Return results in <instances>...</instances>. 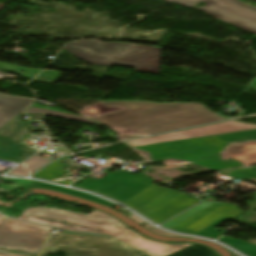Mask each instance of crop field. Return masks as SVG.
<instances>
[{"mask_svg": "<svg viewBox=\"0 0 256 256\" xmlns=\"http://www.w3.org/2000/svg\"><path fill=\"white\" fill-rule=\"evenodd\" d=\"M218 240L236 248L237 250L243 252L248 256H256V245H252L250 243H247L241 240L227 238L225 236L221 237Z\"/></svg>", "mask_w": 256, "mask_h": 256, "instance_id": "18", "label": "crop field"}, {"mask_svg": "<svg viewBox=\"0 0 256 256\" xmlns=\"http://www.w3.org/2000/svg\"><path fill=\"white\" fill-rule=\"evenodd\" d=\"M32 99L0 96V128L15 118Z\"/></svg>", "mask_w": 256, "mask_h": 256, "instance_id": "13", "label": "crop field"}, {"mask_svg": "<svg viewBox=\"0 0 256 256\" xmlns=\"http://www.w3.org/2000/svg\"><path fill=\"white\" fill-rule=\"evenodd\" d=\"M220 156L222 159H237L243 166L256 164V141L227 145Z\"/></svg>", "mask_w": 256, "mask_h": 256, "instance_id": "12", "label": "crop field"}, {"mask_svg": "<svg viewBox=\"0 0 256 256\" xmlns=\"http://www.w3.org/2000/svg\"><path fill=\"white\" fill-rule=\"evenodd\" d=\"M0 94H3V93H0Z\"/></svg>", "mask_w": 256, "mask_h": 256, "instance_id": "34", "label": "crop field"}, {"mask_svg": "<svg viewBox=\"0 0 256 256\" xmlns=\"http://www.w3.org/2000/svg\"><path fill=\"white\" fill-rule=\"evenodd\" d=\"M78 182L80 180L72 186H75ZM151 184H153V181L143 174L133 175L123 171L109 173L101 180L87 179L76 187L92 190L123 203Z\"/></svg>", "mask_w": 256, "mask_h": 256, "instance_id": "6", "label": "crop field"}, {"mask_svg": "<svg viewBox=\"0 0 256 256\" xmlns=\"http://www.w3.org/2000/svg\"><path fill=\"white\" fill-rule=\"evenodd\" d=\"M0 159L9 160V159H5V158H0ZM9 161H14V160H9ZM15 162H18V161H15Z\"/></svg>", "mask_w": 256, "mask_h": 256, "instance_id": "31", "label": "crop field"}, {"mask_svg": "<svg viewBox=\"0 0 256 256\" xmlns=\"http://www.w3.org/2000/svg\"><path fill=\"white\" fill-rule=\"evenodd\" d=\"M198 202L183 193L150 186L123 204L159 224Z\"/></svg>", "mask_w": 256, "mask_h": 256, "instance_id": "5", "label": "crop field"}, {"mask_svg": "<svg viewBox=\"0 0 256 256\" xmlns=\"http://www.w3.org/2000/svg\"><path fill=\"white\" fill-rule=\"evenodd\" d=\"M103 103L104 106H124L128 110L110 113L93 120L103 125L138 131L118 136L116 139L119 141L222 120L202 104L153 103L151 101Z\"/></svg>", "mask_w": 256, "mask_h": 256, "instance_id": "1", "label": "crop field"}, {"mask_svg": "<svg viewBox=\"0 0 256 256\" xmlns=\"http://www.w3.org/2000/svg\"><path fill=\"white\" fill-rule=\"evenodd\" d=\"M124 109H126V108H124V107H104L102 102H99L81 115H83L87 118H94V117H98V116H101V115H104V114H107L110 112L124 110Z\"/></svg>", "mask_w": 256, "mask_h": 256, "instance_id": "20", "label": "crop field"}, {"mask_svg": "<svg viewBox=\"0 0 256 256\" xmlns=\"http://www.w3.org/2000/svg\"><path fill=\"white\" fill-rule=\"evenodd\" d=\"M128 217H130L131 219L135 220L137 223L144 225L143 227H145L146 229H148V230H150V231H152V232H154L156 234H159V235H162V236H168V237H184V236L171 235V234H167V233H164L162 231H159V230H157L154 227L150 226L149 224L144 222L142 219H140L139 217H137V216H135L133 214L128 215Z\"/></svg>", "mask_w": 256, "mask_h": 256, "instance_id": "24", "label": "crop field"}, {"mask_svg": "<svg viewBox=\"0 0 256 256\" xmlns=\"http://www.w3.org/2000/svg\"><path fill=\"white\" fill-rule=\"evenodd\" d=\"M202 2L206 5L197 10L256 34V12L224 0H203Z\"/></svg>", "mask_w": 256, "mask_h": 256, "instance_id": "9", "label": "crop field"}, {"mask_svg": "<svg viewBox=\"0 0 256 256\" xmlns=\"http://www.w3.org/2000/svg\"><path fill=\"white\" fill-rule=\"evenodd\" d=\"M231 176L239 177L244 180L256 182V171H250L246 168L236 169L232 171L220 172Z\"/></svg>", "mask_w": 256, "mask_h": 256, "instance_id": "21", "label": "crop field"}, {"mask_svg": "<svg viewBox=\"0 0 256 256\" xmlns=\"http://www.w3.org/2000/svg\"><path fill=\"white\" fill-rule=\"evenodd\" d=\"M223 204L224 203L203 202L161 226L179 232Z\"/></svg>", "mask_w": 256, "mask_h": 256, "instance_id": "11", "label": "crop field"}, {"mask_svg": "<svg viewBox=\"0 0 256 256\" xmlns=\"http://www.w3.org/2000/svg\"><path fill=\"white\" fill-rule=\"evenodd\" d=\"M52 160L42 158L38 155L32 157L31 159L25 161L24 163L20 164L13 170H11L7 174H19V175H27L29 176L32 174L34 171L39 169L40 167L44 166L48 162Z\"/></svg>", "mask_w": 256, "mask_h": 256, "instance_id": "15", "label": "crop field"}, {"mask_svg": "<svg viewBox=\"0 0 256 256\" xmlns=\"http://www.w3.org/2000/svg\"><path fill=\"white\" fill-rule=\"evenodd\" d=\"M65 172H67V171L64 169L63 163L56 161V162L48 165L46 168H44L42 171H40L36 175L34 174L35 175L34 177L44 178V179H47L50 181L69 185L72 183V181L58 178Z\"/></svg>", "mask_w": 256, "mask_h": 256, "instance_id": "14", "label": "crop field"}, {"mask_svg": "<svg viewBox=\"0 0 256 256\" xmlns=\"http://www.w3.org/2000/svg\"><path fill=\"white\" fill-rule=\"evenodd\" d=\"M29 187L56 190V191L68 193V194H71V195L87 198V199L96 201L98 203H101V204H104V205H107V206H110V207L115 206V204L108 203V202H106V201H104L100 198H96V197H93V196H90V195H87V194H84V193H81V192H77V191H73V190H69V189H65V188H61V187H57V186H53V185H49V184H44L42 182L33 181Z\"/></svg>", "mask_w": 256, "mask_h": 256, "instance_id": "16", "label": "crop field"}, {"mask_svg": "<svg viewBox=\"0 0 256 256\" xmlns=\"http://www.w3.org/2000/svg\"><path fill=\"white\" fill-rule=\"evenodd\" d=\"M253 129H256L255 124H247L241 121L232 120V121L221 122V123L181 130L177 132L147 137L143 139L128 141L124 143L130 147H136V146L161 143V142L229 134V133H235V132H241V131H247V130H253Z\"/></svg>", "mask_w": 256, "mask_h": 256, "instance_id": "8", "label": "crop field"}, {"mask_svg": "<svg viewBox=\"0 0 256 256\" xmlns=\"http://www.w3.org/2000/svg\"><path fill=\"white\" fill-rule=\"evenodd\" d=\"M0 66L18 70V71H22L24 73L32 74V75H36L38 72L41 71V70L35 69V68H26V67H21V66L9 64V63H4V62H0Z\"/></svg>", "mask_w": 256, "mask_h": 256, "instance_id": "26", "label": "crop field"}, {"mask_svg": "<svg viewBox=\"0 0 256 256\" xmlns=\"http://www.w3.org/2000/svg\"><path fill=\"white\" fill-rule=\"evenodd\" d=\"M231 253H232V252H231ZM232 255H233V256H238V255H236V254H234V253H232Z\"/></svg>", "mask_w": 256, "mask_h": 256, "instance_id": "32", "label": "crop field"}, {"mask_svg": "<svg viewBox=\"0 0 256 256\" xmlns=\"http://www.w3.org/2000/svg\"><path fill=\"white\" fill-rule=\"evenodd\" d=\"M25 113H29V114L42 113V114L57 116V117H61V118H65V119H70V120H74V121L84 122V123H90V124H94L95 123L94 121H92L90 119H86L84 117H79L77 115H71V114H65V113L41 110V109H36V108H30Z\"/></svg>", "mask_w": 256, "mask_h": 256, "instance_id": "19", "label": "crop field"}, {"mask_svg": "<svg viewBox=\"0 0 256 256\" xmlns=\"http://www.w3.org/2000/svg\"><path fill=\"white\" fill-rule=\"evenodd\" d=\"M245 140H256V130L215 137L154 144L136 147V149H142L150 153V158L147 162L178 159L220 171L242 166V164L236 160H222L219 154L227 144Z\"/></svg>", "mask_w": 256, "mask_h": 256, "instance_id": "3", "label": "crop field"}, {"mask_svg": "<svg viewBox=\"0 0 256 256\" xmlns=\"http://www.w3.org/2000/svg\"><path fill=\"white\" fill-rule=\"evenodd\" d=\"M28 133L29 129L19 117L1 130L0 157L22 161L36 153V151L19 143Z\"/></svg>", "mask_w": 256, "mask_h": 256, "instance_id": "10", "label": "crop field"}, {"mask_svg": "<svg viewBox=\"0 0 256 256\" xmlns=\"http://www.w3.org/2000/svg\"><path fill=\"white\" fill-rule=\"evenodd\" d=\"M0 70L8 71V72H13V73H17V74H19V75H21V76H24V77H27V78H30V79H32V78L34 77V76H32V75H26V74H23V73H21V72L14 71V70H10V69H6V68H2V67H0Z\"/></svg>", "mask_w": 256, "mask_h": 256, "instance_id": "28", "label": "crop field"}, {"mask_svg": "<svg viewBox=\"0 0 256 256\" xmlns=\"http://www.w3.org/2000/svg\"><path fill=\"white\" fill-rule=\"evenodd\" d=\"M168 256H217V255L204 246L193 244L187 248H184L178 252H174Z\"/></svg>", "mask_w": 256, "mask_h": 256, "instance_id": "17", "label": "crop field"}, {"mask_svg": "<svg viewBox=\"0 0 256 256\" xmlns=\"http://www.w3.org/2000/svg\"><path fill=\"white\" fill-rule=\"evenodd\" d=\"M62 74H59L57 71H44L35 79L37 81L43 82H54L57 78L61 77Z\"/></svg>", "mask_w": 256, "mask_h": 256, "instance_id": "25", "label": "crop field"}, {"mask_svg": "<svg viewBox=\"0 0 256 256\" xmlns=\"http://www.w3.org/2000/svg\"><path fill=\"white\" fill-rule=\"evenodd\" d=\"M20 219L53 225L59 229L115 236L123 242L157 256H165L191 244H166L147 239L130 230L116 218L95 210L88 215L54 208H27Z\"/></svg>", "mask_w": 256, "mask_h": 256, "instance_id": "2", "label": "crop field"}, {"mask_svg": "<svg viewBox=\"0 0 256 256\" xmlns=\"http://www.w3.org/2000/svg\"><path fill=\"white\" fill-rule=\"evenodd\" d=\"M109 128H111L112 130L120 133V134H123V133H128V132H134V131H131V130H127V129H123V128H118V127H114V126H107Z\"/></svg>", "mask_w": 256, "mask_h": 256, "instance_id": "27", "label": "crop field"}, {"mask_svg": "<svg viewBox=\"0 0 256 256\" xmlns=\"http://www.w3.org/2000/svg\"><path fill=\"white\" fill-rule=\"evenodd\" d=\"M149 255V254H148ZM149 256H152V255H149Z\"/></svg>", "mask_w": 256, "mask_h": 256, "instance_id": "33", "label": "crop field"}, {"mask_svg": "<svg viewBox=\"0 0 256 256\" xmlns=\"http://www.w3.org/2000/svg\"><path fill=\"white\" fill-rule=\"evenodd\" d=\"M167 1H171V2L192 8V7L196 6L198 3H200L202 0H167ZM226 1L238 4V5L248 8L250 10L256 11V7H252L250 5L242 3V2H240V0H226Z\"/></svg>", "mask_w": 256, "mask_h": 256, "instance_id": "22", "label": "crop field"}, {"mask_svg": "<svg viewBox=\"0 0 256 256\" xmlns=\"http://www.w3.org/2000/svg\"><path fill=\"white\" fill-rule=\"evenodd\" d=\"M0 256H26V255H19V254H2V253H0Z\"/></svg>", "mask_w": 256, "mask_h": 256, "instance_id": "30", "label": "crop field"}, {"mask_svg": "<svg viewBox=\"0 0 256 256\" xmlns=\"http://www.w3.org/2000/svg\"><path fill=\"white\" fill-rule=\"evenodd\" d=\"M226 220H228V219L223 218L222 220L216 222L215 224L209 226L208 228L202 230L201 232H199L197 234L216 239V238H218V237H220L222 235L214 227L219 225L220 223L226 221Z\"/></svg>", "mask_w": 256, "mask_h": 256, "instance_id": "23", "label": "crop field"}, {"mask_svg": "<svg viewBox=\"0 0 256 256\" xmlns=\"http://www.w3.org/2000/svg\"><path fill=\"white\" fill-rule=\"evenodd\" d=\"M51 227L34 225L0 215V246L39 252Z\"/></svg>", "mask_w": 256, "mask_h": 256, "instance_id": "7", "label": "crop field"}, {"mask_svg": "<svg viewBox=\"0 0 256 256\" xmlns=\"http://www.w3.org/2000/svg\"><path fill=\"white\" fill-rule=\"evenodd\" d=\"M135 151L138 152L140 155H142L144 157L145 161L149 158V154L148 153L143 152L141 150H135Z\"/></svg>", "mask_w": 256, "mask_h": 256, "instance_id": "29", "label": "crop field"}, {"mask_svg": "<svg viewBox=\"0 0 256 256\" xmlns=\"http://www.w3.org/2000/svg\"><path fill=\"white\" fill-rule=\"evenodd\" d=\"M64 50L94 65L130 66L136 67L137 72L152 74L159 73L162 52V49L157 47L100 41L71 43L67 44Z\"/></svg>", "mask_w": 256, "mask_h": 256, "instance_id": "4", "label": "crop field"}]
</instances>
